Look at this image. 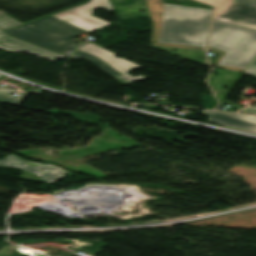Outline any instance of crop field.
Segmentation results:
<instances>
[{
    "label": "crop field",
    "instance_id": "obj_1",
    "mask_svg": "<svg viewBox=\"0 0 256 256\" xmlns=\"http://www.w3.org/2000/svg\"><path fill=\"white\" fill-rule=\"evenodd\" d=\"M154 25L152 46L203 50L212 10L146 0Z\"/></svg>",
    "mask_w": 256,
    "mask_h": 256
},
{
    "label": "crop field",
    "instance_id": "obj_10",
    "mask_svg": "<svg viewBox=\"0 0 256 256\" xmlns=\"http://www.w3.org/2000/svg\"><path fill=\"white\" fill-rule=\"evenodd\" d=\"M72 58H85L111 77L121 75L119 72L93 55L76 50L72 55Z\"/></svg>",
    "mask_w": 256,
    "mask_h": 256
},
{
    "label": "crop field",
    "instance_id": "obj_3",
    "mask_svg": "<svg viewBox=\"0 0 256 256\" xmlns=\"http://www.w3.org/2000/svg\"><path fill=\"white\" fill-rule=\"evenodd\" d=\"M13 37L47 50L69 56L80 46L69 40L87 33L52 16L6 31Z\"/></svg>",
    "mask_w": 256,
    "mask_h": 256
},
{
    "label": "crop field",
    "instance_id": "obj_9",
    "mask_svg": "<svg viewBox=\"0 0 256 256\" xmlns=\"http://www.w3.org/2000/svg\"><path fill=\"white\" fill-rule=\"evenodd\" d=\"M209 117V121L221 126L256 133V117L239 115V114H225V113H211L203 112Z\"/></svg>",
    "mask_w": 256,
    "mask_h": 256
},
{
    "label": "crop field",
    "instance_id": "obj_6",
    "mask_svg": "<svg viewBox=\"0 0 256 256\" xmlns=\"http://www.w3.org/2000/svg\"><path fill=\"white\" fill-rule=\"evenodd\" d=\"M19 24H22V23L14 19L13 17L7 15L6 13L0 11V47L1 48L6 50H11V51H27L52 61L58 58L64 57L59 54H56V53L47 51L45 49L36 47L34 45L17 40L12 36L6 34L5 32H2L5 29L11 28Z\"/></svg>",
    "mask_w": 256,
    "mask_h": 256
},
{
    "label": "crop field",
    "instance_id": "obj_2",
    "mask_svg": "<svg viewBox=\"0 0 256 256\" xmlns=\"http://www.w3.org/2000/svg\"><path fill=\"white\" fill-rule=\"evenodd\" d=\"M209 49L219 53L213 66L243 71L256 52V31L213 20Z\"/></svg>",
    "mask_w": 256,
    "mask_h": 256
},
{
    "label": "crop field",
    "instance_id": "obj_7",
    "mask_svg": "<svg viewBox=\"0 0 256 256\" xmlns=\"http://www.w3.org/2000/svg\"><path fill=\"white\" fill-rule=\"evenodd\" d=\"M78 50L96 55L97 57L102 59L104 62H106L113 68H115L120 73H122L123 75L115 77V79L117 81H119L122 85L131 83V82H135V81H139L142 79H146V77L143 75L137 76V77H132L131 75H129L127 73L128 71L133 70L138 67H141V66H139L133 62L118 58L113 53H111L103 48H100L92 43H90Z\"/></svg>",
    "mask_w": 256,
    "mask_h": 256
},
{
    "label": "crop field",
    "instance_id": "obj_12",
    "mask_svg": "<svg viewBox=\"0 0 256 256\" xmlns=\"http://www.w3.org/2000/svg\"><path fill=\"white\" fill-rule=\"evenodd\" d=\"M243 72L256 76V53L251 59V61L248 63V65L246 66ZM242 112L256 114V107L247 108Z\"/></svg>",
    "mask_w": 256,
    "mask_h": 256
},
{
    "label": "crop field",
    "instance_id": "obj_8",
    "mask_svg": "<svg viewBox=\"0 0 256 256\" xmlns=\"http://www.w3.org/2000/svg\"><path fill=\"white\" fill-rule=\"evenodd\" d=\"M214 19L256 29V0H233L228 11Z\"/></svg>",
    "mask_w": 256,
    "mask_h": 256
},
{
    "label": "crop field",
    "instance_id": "obj_11",
    "mask_svg": "<svg viewBox=\"0 0 256 256\" xmlns=\"http://www.w3.org/2000/svg\"><path fill=\"white\" fill-rule=\"evenodd\" d=\"M11 91H15V90L0 87V101L19 105V103L22 101L26 93L21 92L20 95L17 98H15V97L9 96V93Z\"/></svg>",
    "mask_w": 256,
    "mask_h": 256
},
{
    "label": "crop field",
    "instance_id": "obj_5",
    "mask_svg": "<svg viewBox=\"0 0 256 256\" xmlns=\"http://www.w3.org/2000/svg\"><path fill=\"white\" fill-rule=\"evenodd\" d=\"M98 7L112 11L109 0H91L90 3L71 8L69 10L52 15L88 32L96 30L110 23L95 18L92 11Z\"/></svg>",
    "mask_w": 256,
    "mask_h": 256
},
{
    "label": "crop field",
    "instance_id": "obj_4",
    "mask_svg": "<svg viewBox=\"0 0 256 256\" xmlns=\"http://www.w3.org/2000/svg\"><path fill=\"white\" fill-rule=\"evenodd\" d=\"M16 162V163H14ZM0 166L20 168L26 171L20 178L39 181L42 180L46 184L52 183L57 179L66 175H73L74 173L62 170L60 167L54 166L50 163H36L25 161L17 156L10 154L3 160H0ZM44 170V171H41ZM50 171L51 173H48Z\"/></svg>",
    "mask_w": 256,
    "mask_h": 256
}]
</instances>
